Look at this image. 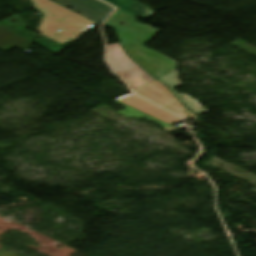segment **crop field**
I'll return each mask as SVG.
<instances>
[{
    "label": "crop field",
    "mask_w": 256,
    "mask_h": 256,
    "mask_svg": "<svg viewBox=\"0 0 256 256\" xmlns=\"http://www.w3.org/2000/svg\"><path fill=\"white\" fill-rule=\"evenodd\" d=\"M123 23L125 26H120ZM116 29L127 53L153 76L160 78L176 70V62L142 45L159 30L135 22V17L118 9L105 23Z\"/></svg>",
    "instance_id": "crop-field-1"
},
{
    "label": "crop field",
    "mask_w": 256,
    "mask_h": 256,
    "mask_svg": "<svg viewBox=\"0 0 256 256\" xmlns=\"http://www.w3.org/2000/svg\"><path fill=\"white\" fill-rule=\"evenodd\" d=\"M37 10L44 14L39 31L41 34L64 44L76 41L88 28L96 23L79 16L49 0H31ZM61 30L59 33L55 32Z\"/></svg>",
    "instance_id": "crop-field-2"
},
{
    "label": "crop field",
    "mask_w": 256,
    "mask_h": 256,
    "mask_svg": "<svg viewBox=\"0 0 256 256\" xmlns=\"http://www.w3.org/2000/svg\"><path fill=\"white\" fill-rule=\"evenodd\" d=\"M107 58L114 71L128 83L140 87L154 80V78L125 55L120 44L108 46Z\"/></svg>",
    "instance_id": "crop-field-3"
},
{
    "label": "crop field",
    "mask_w": 256,
    "mask_h": 256,
    "mask_svg": "<svg viewBox=\"0 0 256 256\" xmlns=\"http://www.w3.org/2000/svg\"><path fill=\"white\" fill-rule=\"evenodd\" d=\"M75 12L100 24L109 16L113 8L99 0H54Z\"/></svg>",
    "instance_id": "crop-field-4"
},
{
    "label": "crop field",
    "mask_w": 256,
    "mask_h": 256,
    "mask_svg": "<svg viewBox=\"0 0 256 256\" xmlns=\"http://www.w3.org/2000/svg\"><path fill=\"white\" fill-rule=\"evenodd\" d=\"M31 46V42L0 27V49L9 51L13 47L26 51Z\"/></svg>",
    "instance_id": "crop-field-5"
},
{
    "label": "crop field",
    "mask_w": 256,
    "mask_h": 256,
    "mask_svg": "<svg viewBox=\"0 0 256 256\" xmlns=\"http://www.w3.org/2000/svg\"><path fill=\"white\" fill-rule=\"evenodd\" d=\"M104 1H107L135 16L140 15V16L146 17L155 12L136 0H104Z\"/></svg>",
    "instance_id": "crop-field-6"
},
{
    "label": "crop field",
    "mask_w": 256,
    "mask_h": 256,
    "mask_svg": "<svg viewBox=\"0 0 256 256\" xmlns=\"http://www.w3.org/2000/svg\"><path fill=\"white\" fill-rule=\"evenodd\" d=\"M113 102H115V103H117V104L127 108L125 110L119 111V113L122 114V115H125V116H128V117H132V118H137V119H141V118L145 117V118H147V119H149V120H151V121H153V122L163 126L164 129L167 132L179 130L178 128H175V127H173L171 125H168V124H166L164 122H161V121H159V120H157V119H155V118H153L151 116H148V115H146V114H144V113H142V112H140V111H138V110H136V109H134V108H132V107H130L128 105H125V104L119 102V101L113 100Z\"/></svg>",
    "instance_id": "crop-field-7"
},
{
    "label": "crop field",
    "mask_w": 256,
    "mask_h": 256,
    "mask_svg": "<svg viewBox=\"0 0 256 256\" xmlns=\"http://www.w3.org/2000/svg\"><path fill=\"white\" fill-rule=\"evenodd\" d=\"M131 87H132V89H135V88H137V87H135V86H133V85H131V84H129Z\"/></svg>",
    "instance_id": "crop-field-8"
}]
</instances>
